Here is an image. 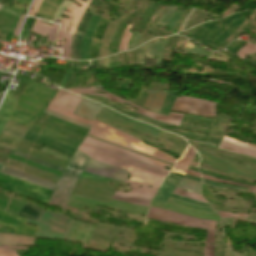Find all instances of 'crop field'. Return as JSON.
I'll return each mask as SVG.
<instances>
[{"mask_svg": "<svg viewBox=\"0 0 256 256\" xmlns=\"http://www.w3.org/2000/svg\"><path fill=\"white\" fill-rule=\"evenodd\" d=\"M242 13L245 15L243 18H240ZM249 14L248 11H245L219 21L202 24L194 29L190 39L194 41L198 40L201 45L204 44L216 49L238 28ZM231 26H233L232 29L230 28Z\"/></svg>", "mask_w": 256, "mask_h": 256, "instance_id": "8a807250", "label": "crop field"}, {"mask_svg": "<svg viewBox=\"0 0 256 256\" xmlns=\"http://www.w3.org/2000/svg\"><path fill=\"white\" fill-rule=\"evenodd\" d=\"M89 135L106 140L108 142L153 156L169 163H174L176 159L150 146L140 143L139 140L117 131L107 125L94 120L93 127Z\"/></svg>", "mask_w": 256, "mask_h": 256, "instance_id": "ac0d7876", "label": "crop field"}, {"mask_svg": "<svg viewBox=\"0 0 256 256\" xmlns=\"http://www.w3.org/2000/svg\"><path fill=\"white\" fill-rule=\"evenodd\" d=\"M147 218L173 223L177 225L191 226L203 229L207 228V235L205 237L206 246L204 250V256H214V236L216 221H206L202 219L192 218L152 206H150ZM210 243H212V245H210Z\"/></svg>", "mask_w": 256, "mask_h": 256, "instance_id": "34b2d1b8", "label": "crop field"}, {"mask_svg": "<svg viewBox=\"0 0 256 256\" xmlns=\"http://www.w3.org/2000/svg\"><path fill=\"white\" fill-rule=\"evenodd\" d=\"M88 160L87 156L82 155L76 150L67 169L65 168L66 170L62 178L60 177L61 179L55 187L48 205H62V209H64L70 192Z\"/></svg>", "mask_w": 256, "mask_h": 256, "instance_id": "412701ff", "label": "crop field"}, {"mask_svg": "<svg viewBox=\"0 0 256 256\" xmlns=\"http://www.w3.org/2000/svg\"><path fill=\"white\" fill-rule=\"evenodd\" d=\"M71 219L52 213L46 210L37 222L26 220L28 223L38 225L35 237L53 241L54 239L64 240Z\"/></svg>", "mask_w": 256, "mask_h": 256, "instance_id": "f4fd0767", "label": "crop field"}, {"mask_svg": "<svg viewBox=\"0 0 256 256\" xmlns=\"http://www.w3.org/2000/svg\"><path fill=\"white\" fill-rule=\"evenodd\" d=\"M92 159L128 170L129 174L131 175L130 180L143 183L148 186H152L156 188L159 187L162 179L165 177V176L126 164L116 159L110 158L96 151L94 152Z\"/></svg>", "mask_w": 256, "mask_h": 256, "instance_id": "dd49c442", "label": "crop field"}, {"mask_svg": "<svg viewBox=\"0 0 256 256\" xmlns=\"http://www.w3.org/2000/svg\"><path fill=\"white\" fill-rule=\"evenodd\" d=\"M75 1H77L80 4L82 2L80 0H75ZM90 1L91 0H89L87 4L85 2H83L82 6H80V7L75 5V4H72L67 9V11H70L71 13L70 14H68L66 12L63 13V15L69 16V19L63 18V20L60 24L61 28L58 32V37L57 38H65L61 57L69 59L70 49H71V39H72L74 30L76 29L84 11H85V8L87 7V5L89 4ZM69 23H70L69 32H68V34H66L67 29L69 27Z\"/></svg>", "mask_w": 256, "mask_h": 256, "instance_id": "e52e79f7", "label": "crop field"}, {"mask_svg": "<svg viewBox=\"0 0 256 256\" xmlns=\"http://www.w3.org/2000/svg\"><path fill=\"white\" fill-rule=\"evenodd\" d=\"M80 100H81V97H78V96L69 94L63 90H60L57 93V95L54 97V99L49 103L46 110L90 125L92 121L82 119L73 114Z\"/></svg>", "mask_w": 256, "mask_h": 256, "instance_id": "d8731c3e", "label": "crop field"}, {"mask_svg": "<svg viewBox=\"0 0 256 256\" xmlns=\"http://www.w3.org/2000/svg\"><path fill=\"white\" fill-rule=\"evenodd\" d=\"M95 204L107 206L111 209L122 211V212H130V213H136L141 215H146L147 209H148L146 207L118 202L114 200H111L109 204H106V203H102V202H98V201H94V200H90V199H86V198H82L74 195H71L67 203L68 206H72L80 209H82L83 207H86V208L98 210L99 208L95 207L94 206Z\"/></svg>", "mask_w": 256, "mask_h": 256, "instance_id": "5a996713", "label": "crop field"}, {"mask_svg": "<svg viewBox=\"0 0 256 256\" xmlns=\"http://www.w3.org/2000/svg\"><path fill=\"white\" fill-rule=\"evenodd\" d=\"M215 105L200 99L181 96L176 98L171 110L215 117Z\"/></svg>", "mask_w": 256, "mask_h": 256, "instance_id": "3316defc", "label": "crop field"}, {"mask_svg": "<svg viewBox=\"0 0 256 256\" xmlns=\"http://www.w3.org/2000/svg\"><path fill=\"white\" fill-rule=\"evenodd\" d=\"M126 183L131 185V187H129L132 191L128 193L116 192L115 196L113 195V199L148 207L157 189L136 184L128 180ZM139 186H141V188H139Z\"/></svg>", "mask_w": 256, "mask_h": 256, "instance_id": "28ad6ade", "label": "crop field"}, {"mask_svg": "<svg viewBox=\"0 0 256 256\" xmlns=\"http://www.w3.org/2000/svg\"><path fill=\"white\" fill-rule=\"evenodd\" d=\"M68 91H71L73 93H76V94H93V95H99V96H105L106 98L112 100V101H115V102H119V103H128L130 105H132L133 107L137 108V113H140L142 115H145V116H148L150 118H153V119H156L160 122H164V123H168V124H172V125H176L178 126L183 115L182 114H177V113H173L171 112L169 117H166V116H162V115H158V114H155V113H151V112H148L144 109H141L123 99H120L110 93H107V95H103V94H95V93H90V92H93V91H102V90H98V89H72V90H68ZM105 92V91H104Z\"/></svg>", "mask_w": 256, "mask_h": 256, "instance_id": "d1516ede", "label": "crop field"}, {"mask_svg": "<svg viewBox=\"0 0 256 256\" xmlns=\"http://www.w3.org/2000/svg\"><path fill=\"white\" fill-rule=\"evenodd\" d=\"M98 115L108 120H111L121 126L137 130L139 132L145 133L155 138H157L158 134L160 133V130L158 129H155L151 126L123 117L105 107L101 108V110L98 112Z\"/></svg>", "mask_w": 256, "mask_h": 256, "instance_id": "22f410ed", "label": "crop field"}, {"mask_svg": "<svg viewBox=\"0 0 256 256\" xmlns=\"http://www.w3.org/2000/svg\"><path fill=\"white\" fill-rule=\"evenodd\" d=\"M84 143H87V144L105 149L107 151L119 154V155L127 157V158H131V159H134V160H137V161L147 163L149 165L160 168L162 170H165V169H163L165 166L171 168L170 165H167V164L152 160L150 158H147V157H144V156H141V155H138V154H135V153H132V152H129V151H126V150L108 145L106 143H103V142H100V141H97V140H94V139H91V138H88V137H86V139L84 140ZM165 171L168 172V170H165Z\"/></svg>", "mask_w": 256, "mask_h": 256, "instance_id": "cbeb9de0", "label": "crop field"}, {"mask_svg": "<svg viewBox=\"0 0 256 256\" xmlns=\"http://www.w3.org/2000/svg\"><path fill=\"white\" fill-rule=\"evenodd\" d=\"M85 172L122 181H126L127 178V171L92 160L87 165Z\"/></svg>", "mask_w": 256, "mask_h": 256, "instance_id": "5142ce71", "label": "crop field"}, {"mask_svg": "<svg viewBox=\"0 0 256 256\" xmlns=\"http://www.w3.org/2000/svg\"><path fill=\"white\" fill-rule=\"evenodd\" d=\"M24 9L15 4H13L11 9L3 5L0 9V29L13 34Z\"/></svg>", "mask_w": 256, "mask_h": 256, "instance_id": "d9b57169", "label": "crop field"}, {"mask_svg": "<svg viewBox=\"0 0 256 256\" xmlns=\"http://www.w3.org/2000/svg\"><path fill=\"white\" fill-rule=\"evenodd\" d=\"M24 221L25 218L0 210V224L15 228L17 234L34 236L37 228L25 225Z\"/></svg>", "mask_w": 256, "mask_h": 256, "instance_id": "733c2abd", "label": "crop field"}, {"mask_svg": "<svg viewBox=\"0 0 256 256\" xmlns=\"http://www.w3.org/2000/svg\"><path fill=\"white\" fill-rule=\"evenodd\" d=\"M93 5L98 6L99 1L92 0L89 4L88 8L90 9L89 13H85L75 31V34L73 36V42H72V49H71V56L70 59H77L79 60V47H80V40L84 34L85 28L87 26V23L91 17V15L95 12L93 10Z\"/></svg>", "mask_w": 256, "mask_h": 256, "instance_id": "4a817a6b", "label": "crop field"}, {"mask_svg": "<svg viewBox=\"0 0 256 256\" xmlns=\"http://www.w3.org/2000/svg\"><path fill=\"white\" fill-rule=\"evenodd\" d=\"M56 92L30 80L22 95L32 98L47 104L54 96Z\"/></svg>", "mask_w": 256, "mask_h": 256, "instance_id": "bc2a9ffb", "label": "crop field"}, {"mask_svg": "<svg viewBox=\"0 0 256 256\" xmlns=\"http://www.w3.org/2000/svg\"><path fill=\"white\" fill-rule=\"evenodd\" d=\"M218 147L224 150L242 153L256 158V146L247 145L226 136H224Z\"/></svg>", "mask_w": 256, "mask_h": 256, "instance_id": "214f88e0", "label": "crop field"}, {"mask_svg": "<svg viewBox=\"0 0 256 256\" xmlns=\"http://www.w3.org/2000/svg\"><path fill=\"white\" fill-rule=\"evenodd\" d=\"M23 139L34 142L39 145L46 144L47 148L53 149L60 153L66 154L68 156L69 155L73 156V154L75 152V150L72 148H69V147L59 144L57 142L51 141L49 139H46L44 137H41V136L31 133L29 131H27V133L24 135Z\"/></svg>", "mask_w": 256, "mask_h": 256, "instance_id": "92a150f3", "label": "crop field"}, {"mask_svg": "<svg viewBox=\"0 0 256 256\" xmlns=\"http://www.w3.org/2000/svg\"><path fill=\"white\" fill-rule=\"evenodd\" d=\"M79 151H81L82 153H84L85 155H87L88 157H91L92 153L94 150H97L99 152H102L104 154H107L109 156H112L114 158H117L119 160H122L124 162H127L129 164H132V165H135V166H138V167H142V168H145V169H148V170H151V171H154V172H158V173H161V174H164L166 175L167 172H164V171H161V170H158L156 168H153V167H150V166H147V165H144V164H141V163H138V162H135L133 160H130V159H127V158H124V157H121V156H118V155H115L113 153H110V152H107V151H104V150H101V149H98V148H95L93 146H90V145H87V144H84L82 143L78 149Z\"/></svg>", "mask_w": 256, "mask_h": 256, "instance_id": "dafd665d", "label": "crop field"}, {"mask_svg": "<svg viewBox=\"0 0 256 256\" xmlns=\"http://www.w3.org/2000/svg\"><path fill=\"white\" fill-rule=\"evenodd\" d=\"M175 188H176V185H174L172 182H170L168 179L165 178L158 194L155 196L153 201L166 204L169 197L172 196V197L182 199V200H185V201H188V202H191V203H195V204L210 207V205L194 202V201H191V200H188V199H185V198H182V197L171 194Z\"/></svg>", "mask_w": 256, "mask_h": 256, "instance_id": "00972430", "label": "crop field"}, {"mask_svg": "<svg viewBox=\"0 0 256 256\" xmlns=\"http://www.w3.org/2000/svg\"><path fill=\"white\" fill-rule=\"evenodd\" d=\"M102 18H101L99 24L97 25V27L94 31V34H93L92 44H91V49H90V59L99 58L98 50H99L101 37H102L103 31L109 21V20H105Z\"/></svg>", "mask_w": 256, "mask_h": 256, "instance_id": "a9b5d70f", "label": "crop field"}, {"mask_svg": "<svg viewBox=\"0 0 256 256\" xmlns=\"http://www.w3.org/2000/svg\"><path fill=\"white\" fill-rule=\"evenodd\" d=\"M166 92L149 90L145 102V108L160 112Z\"/></svg>", "mask_w": 256, "mask_h": 256, "instance_id": "4177f3b9", "label": "crop field"}, {"mask_svg": "<svg viewBox=\"0 0 256 256\" xmlns=\"http://www.w3.org/2000/svg\"><path fill=\"white\" fill-rule=\"evenodd\" d=\"M16 105V99L8 92L0 106V132ZM8 121V120H7Z\"/></svg>", "mask_w": 256, "mask_h": 256, "instance_id": "730fd06b", "label": "crop field"}, {"mask_svg": "<svg viewBox=\"0 0 256 256\" xmlns=\"http://www.w3.org/2000/svg\"><path fill=\"white\" fill-rule=\"evenodd\" d=\"M196 152L188 146L184 155L177 161L171 172L185 174L188 166L192 162Z\"/></svg>", "mask_w": 256, "mask_h": 256, "instance_id": "eef30255", "label": "crop field"}, {"mask_svg": "<svg viewBox=\"0 0 256 256\" xmlns=\"http://www.w3.org/2000/svg\"><path fill=\"white\" fill-rule=\"evenodd\" d=\"M35 238L17 236V235H8L0 234V244L1 245H27L34 246L33 242Z\"/></svg>", "mask_w": 256, "mask_h": 256, "instance_id": "ae1a2a85", "label": "crop field"}, {"mask_svg": "<svg viewBox=\"0 0 256 256\" xmlns=\"http://www.w3.org/2000/svg\"><path fill=\"white\" fill-rule=\"evenodd\" d=\"M63 0H44L39 11L36 13L45 19H53V15Z\"/></svg>", "mask_w": 256, "mask_h": 256, "instance_id": "d3111659", "label": "crop field"}, {"mask_svg": "<svg viewBox=\"0 0 256 256\" xmlns=\"http://www.w3.org/2000/svg\"><path fill=\"white\" fill-rule=\"evenodd\" d=\"M40 20L38 19L32 29V32H35L36 34L42 35L46 37L47 33V40L46 41H54V38L56 36V31L59 27V25L53 24V26L42 24L39 22Z\"/></svg>", "mask_w": 256, "mask_h": 256, "instance_id": "750c4746", "label": "crop field"}, {"mask_svg": "<svg viewBox=\"0 0 256 256\" xmlns=\"http://www.w3.org/2000/svg\"><path fill=\"white\" fill-rule=\"evenodd\" d=\"M100 108L101 106L92 103L86 99H83L82 103L76 111V114L92 120L94 115Z\"/></svg>", "mask_w": 256, "mask_h": 256, "instance_id": "bd1437ed", "label": "crop field"}, {"mask_svg": "<svg viewBox=\"0 0 256 256\" xmlns=\"http://www.w3.org/2000/svg\"><path fill=\"white\" fill-rule=\"evenodd\" d=\"M43 211V209L26 202V204L23 206L18 215L37 221V219L40 217Z\"/></svg>", "mask_w": 256, "mask_h": 256, "instance_id": "1d83c4d3", "label": "crop field"}, {"mask_svg": "<svg viewBox=\"0 0 256 256\" xmlns=\"http://www.w3.org/2000/svg\"><path fill=\"white\" fill-rule=\"evenodd\" d=\"M37 119V117L30 114L24 113L15 109L13 115L10 118V121L20 124L25 127H30V125Z\"/></svg>", "mask_w": 256, "mask_h": 256, "instance_id": "120bbe31", "label": "crop field"}, {"mask_svg": "<svg viewBox=\"0 0 256 256\" xmlns=\"http://www.w3.org/2000/svg\"><path fill=\"white\" fill-rule=\"evenodd\" d=\"M26 131L27 128L8 121L6 127L3 130V133H7L22 138Z\"/></svg>", "mask_w": 256, "mask_h": 256, "instance_id": "d32e631a", "label": "crop field"}, {"mask_svg": "<svg viewBox=\"0 0 256 256\" xmlns=\"http://www.w3.org/2000/svg\"><path fill=\"white\" fill-rule=\"evenodd\" d=\"M200 185H201L200 183L183 178V180L177 186V189L200 194V192H199Z\"/></svg>", "mask_w": 256, "mask_h": 256, "instance_id": "5866460e", "label": "crop field"}, {"mask_svg": "<svg viewBox=\"0 0 256 256\" xmlns=\"http://www.w3.org/2000/svg\"><path fill=\"white\" fill-rule=\"evenodd\" d=\"M12 153H13V152H12ZM13 155H16V156H18V157H21V158L30 160V161H32V162L41 164V165L46 166V167H49V168L55 169V170L60 171V172L62 171V168H59V167H57V166L51 165V164H49V163L40 161V160L35 159V158H32V157H29V156H27V155L21 154V153L16 152V151H14ZM63 170H64V169H63ZM62 172H63V171H62Z\"/></svg>", "mask_w": 256, "mask_h": 256, "instance_id": "028f5c9d", "label": "crop field"}, {"mask_svg": "<svg viewBox=\"0 0 256 256\" xmlns=\"http://www.w3.org/2000/svg\"><path fill=\"white\" fill-rule=\"evenodd\" d=\"M256 53V45L246 43L245 47L241 48L236 55L239 58L244 59L247 55Z\"/></svg>", "mask_w": 256, "mask_h": 256, "instance_id": "e1f06a70", "label": "crop field"}, {"mask_svg": "<svg viewBox=\"0 0 256 256\" xmlns=\"http://www.w3.org/2000/svg\"><path fill=\"white\" fill-rule=\"evenodd\" d=\"M201 175H202V174H201ZM202 177H203L204 179L211 180V181H214V182H219V183H224V184H230V185H236V186H241V187H247V188H250L248 191H252V192L256 193V186L251 187V186H247V185H243V184H239V183H235V182H230V181H224V180L215 179V178L208 177V176H205V175H202Z\"/></svg>", "mask_w": 256, "mask_h": 256, "instance_id": "0bd39190", "label": "crop field"}, {"mask_svg": "<svg viewBox=\"0 0 256 256\" xmlns=\"http://www.w3.org/2000/svg\"><path fill=\"white\" fill-rule=\"evenodd\" d=\"M173 194H176V195H179V196H183V197H186V198H189V199H192V200H196V201H202V202H206L208 203L207 201H205L202 196H199V195H195V194H191V193H187V192H184V191H181V190H177L175 189ZM209 204V203H208Z\"/></svg>", "mask_w": 256, "mask_h": 256, "instance_id": "b80d0937", "label": "crop field"}, {"mask_svg": "<svg viewBox=\"0 0 256 256\" xmlns=\"http://www.w3.org/2000/svg\"><path fill=\"white\" fill-rule=\"evenodd\" d=\"M131 25H128L127 29L125 30L122 38H121V42H120V49H123V51L126 50L127 48V44L130 40V37L132 34L128 33L129 29H130ZM120 49H119V52H120Z\"/></svg>", "mask_w": 256, "mask_h": 256, "instance_id": "c035e120", "label": "crop field"}, {"mask_svg": "<svg viewBox=\"0 0 256 256\" xmlns=\"http://www.w3.org/2000/svg\"><path fill=\"white\" fill-rule=\"evenodd\" d=\"M176 7L167 6L163 16L158 21L159 24L165 25V23L168 21V19L171 17V15L174 13Z\"/></svg>", "mask_w": 256, "mask_h": 256, "instance_id": "c21b1889", "label": "crop field"}, {"mask_svg": "<svg viewBox=\"0 0 256 256\" xmlns=\"http://www.w3.org/2000/svg\"><path fill=\"white\" fill-rule=\"evenodd\" d=\"M158 39H154L150 42H147L146 50H145V55L147 57L154 58V49H155V45H156Z\"/></svg>", "mask_w": 256, "mask_h": 256, "instance_id": "03da06ac", "label": "crop field"}, {"mask_svg": "<svg viewBox=\"0 0 256 256\" xmlns=\"http://www.w3.org/2000/svg\"><path fill=\"white\" fill-rule=\"evenodd\" d=\"M170 200H171V201H174V202H177V203H180V204H182V205L188 206V207H192V208H196V209H200V210H204V211H208V212H213V213H215L212 209H208V208L196 206V205H193V204H190V203H187V202H184V201H181V200L172 198V197H171Z\"/></svg>", "mask_w": 256, "mask_h": 256, "instance_id": "b54c1fbb", "label": "crop field"}, {"mask_svg": "<svg viewBox=\"0 0 256 256\" xmlns=\"http://www.w3.org/2000/svg\"><path fill=\"white\" fill-rule=\"evenodd\" d=\"M71 3L72 2L70 1L64 0L63 3L60 5V7L57 9L54 18L61 19L60 18L61 13L64 12Z\"/></svg>", "mask_w": 256, "mask_h": 256, "instance_id": "5d738f31", "label": "crop field"}, {"mask_svg": "<svg viewBox=\"0 0 256 256\" xmlns=\"http://www.w3.org/2000/svg\"><path fill=\"white\" fill-rule=\"evenodd\" d=\"M220 214L221 218H238V217H246L248 218V214H232V213H223L217 212Z\"/></svg>", "mask_w": 256, "mask_h": 256, "instance_id": "d23c7cc5", "label": "crop field"}, {"mask_svg": "<svg viewBox=\"0 0 256 256\" xmlns=\"http://www.w3.org/2000/svg\"><path fill=\"white\" fill-rule=\"evenodd\" d=\"M44 112H45V113H48V114H50V115L56 116V117H58V118L64 119V120H66V121L72 122V123H74V124L83 126V127H85V128H88V129H89V127H90L89 125L81 124V123L76 122V121H74V120H71V119H68V118L59 116V115H57V114H54V113H51V112H48V111H45V110H44Z\"/></svg>", "mask_w": 256, "mask_h": 256, "instance_id": "425ffa30", "label": "crop field"}, {"mask_svg": "<svg viewBox=\"0 0 256 256\" xmlns=\"http://www.w3.org/2000/svg\"><path fill=\"white\" fill-rule=\"evenodd\" d=\"M203 181H204V183H206V184L213 185V186H217V187L236 188V189H245V190H247V188H241V187H234V186L222 185V184H217V183L210 182V181H205V180H203Z\"/></svg>", "mask_w": 256, "mask_h": 256, "instance_id": "25e5ab78", "label": "crop field"}, {"mask_svg": "<svg viewBox=\"0 0 256 256\" xmlns=\"http://www.w3.org/2000/svg\"><path fill=\"white\" fill-rule=\"evenodd\" d=\"M42 1L43 0H35L34 1L33 6H32L33 10L30 11L29 15H32V16L35 15V13L37 12V10H38L39 6L41 5Z\"/></svg>", "mask_w": 256, "mask_h": 256, "instance_id": "73cf0c24", "label": "crop field"}, {"mask_svg": "<svg viewBox=\"0 0 256 256\" xmlns=\"http://www.w3.org/2000/svg\"><path fill=\"white\" fill-rule=\"evenodd\" d=\"M0 256H18L16 251L11 250H0Z\"/></svg>", "mask_w": 256, "mask_h": 256, "instance_id": "89e229c0", "label": "crop field"}, {"mask_svg": "<svg viewBox=\"0 0 256 256\" xmlns=\"http://www.w3.org/2000/svg\"><path fill=\"white\" fill-rule=\"evenodd\" d=\"M194 11H195V9L192 8L191 11H190V13H189V15L185 18L184 22L182 23V25H181V27H180L178 33L183 31L184 26H185V24H186L188 18L194 13Z\"/></svg>", "mask_w": 256, "mask_h": 256, "instance_id": "1f2cbd36", "label": "crop field"}, {"mask_svg": "<svg viewBox=\"0 0 256 256\" xmlns=\"http://www.w3.org/2000/svg\"><path fill=\"white\" fill-rule=\"evenodd\" d=\"M0 249H23V250H28L27 247H14V246H0Z\"/></svg>", "mask_w": 256, "mask_h": 256, "instance_id": "dbb93151", "label": "crop field"}, {"mask_svg": "<svg viewBox=\"0 0 256 256\" xmlns=\"http://www.w3.org/2000/svg\"><path fill=\"white\" fill-rule=\"evenodd\" d=\"M16 2H19V5H28L30 0H14Z\"/></svg>", "mask_w": 256, "mask_h": 256, "instance_id": "0fb4a251", "label": "crop field"}, {"mask_svg": "<svg viewBox=\"0 0 256 256\" xmlns=\"http://www.w3.org/2000/svg\"><path fill=\"white\" fill-rule=\"evenodd\" d=\"M185 178H188V179H192V180H195V181H198L201 183V180L199 178H196V177H193V176H190V175H185Z\"/></svg>", "mask_w": 256, "mask_h": 256, "instance_id": "1d79db26", "label": "crop field"}, {"mask_svg": "<svg viewBox=\"0 0 256 256\" xmlns=\"http://www.w3.org/2000/svg\"><path fill=\"white\" fill-rule=\"evenodd\" d=\"M187 174H190V175H194V176H197V177H200V175L198 173H195V172H192V171H187ZM201 178V177H200Z\"/></svg>", "mask_w": 256, "mask_h": 256, "instance_id": "9d1cf04e", "label": "crop field"}, {"mask_svg": "<svg viewBox=\"0 0 256 256\" xmlns=\"http://www.w3.org/2000/svg\"><path fill=\"white\" fill-rule=\"evenodd\" d=\"M2 94L0 95V98H1Z\"/></svg>", "mask_w": 256, "mask_h": 256, "instance_id": "447ae74e", "label": "crop field"}, {"mask_svg": "<svg viewBox=\"0 0 256 256\" xmlns=\"http://www.w3.org/2000/svg\"><path fill=\"white\" fill-rule=\"evenodd\" d=\"M0 8H1V5H0Z\"/></svg>", "mask_w": 256, "mask_h": 256, "instance_id": "0765c3eb", "label": "crop field"}]
</instances>
